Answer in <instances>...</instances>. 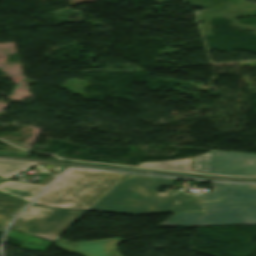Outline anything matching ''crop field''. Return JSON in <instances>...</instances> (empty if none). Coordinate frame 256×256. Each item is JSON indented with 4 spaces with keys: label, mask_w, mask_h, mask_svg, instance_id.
<instances>
[{
    "label": "crop field",
    "mask_w": 256,
    "mask_h": 256,
    "mask_svg": "<svg viewBox=\"0 0 256 256\" xmlns=\"http://www.w3.org/2000/svg\"><path fill=\"white\" fill-rule=\"evenodd\" d=\"M175 180L128 174L90 210L135 215L204 212L201 199L193 194L186 195L176 191L163 194L156 191L160 186H169Z\"/></svg>",
    "instance_id": "8a807250"
},
{
    "label": "crop field",
    "mask_w": 256,
    "mask_h": 256,
    "mask_svg": "<svg viewBox=\"0 0 256 256\" xmlns=\"http://www.w3.org/2000/svg\"><path fill=\"white\" fill-rule=\"evenodd\" d=\"M126 175L72 169L61 175L34 204L89 210Z\"/></svg>",
    "instance_id": "ac0d7876"
},
{
    "label": "crop field",
    "mask_w": 256,
    "mask_h": 256,
    "mask_svg": "<svg viewBox=\"0 0 256 256\" xmlns=\"http://www.w3.org/2000/svg\"><path fill=\"white\" fill-rule=\"evenodd\" d=\"M201 194L207 211L190 226L256 224V185L217 184Z\"/></svg>",
    "instance_id": "34b2d1b8"
},
{
    "label": "crop field",
    "mask_w": 256,
    "mask_h": 256,
    "mask_svg": "<svg viewBox=\"0 0 256 256\" xmlns=\"http://www.w3.org/2000/svg\"><path fill=\"white\" fill-rule=\"evenodd\" d=\"M86 212L49 209L31 204L9 228L54 241L60 238Z\"/></svg>",
    "instance_id": "412701ff"
},
{
    "label": "crop field",
    "mask_w": 256,
    "mask_h": 256,
    "mask_svg": "<svg viewBox=\"0 0 256 256\" xmlns=\"http://www.w3.org/2000/svg\"><path fill=\"white\" fill-rule=\"evenodd\" d=\"M193 172L228 176H256V155L210 151L192 158Z\"/></svg>",
    "instance_id": "f4fd0767"
},
{
    "label": "crop field",
    "mask_w": 256,
    "mask_h": 256,
    "mask_svg": "<svg viewBox=\"0 0 256 256\" xmlns=\"http://www.w3.org/2000/svg\"><path fill=\"white\" fill-rule=\"evenodd\" d=\"M28 204L23 200L0 193V230L4 231L7 224Z\"/></svg>",
    "instance_id": "dd49c442"
},
{
    "label": "crop field",
    "mask_w": 256,
    "mask_h": 256,
    "mask_svg": "<svg viewBox=\"0 0 256 256\" xmlns=\"http://www.w3.org/2000/svg\"><path fill=\"white\" fill-rule=\"evenodd\" d=\"M44 186L35 184H22L20 182H5L0 184V191L25 201H32Z\"/></svg>",
    "instance_id": "e52e79f7"
},
{
    "label": "crop field",
    "mask_w": 256,
    "mask_h": 256,
    "mask_svg": "<svg viewBox=\"0 0 256 256\" xmlns=\"http://www.w3.org/2000/svg\"><path fill=\"white\" fill-rule=\"evenodd\" d=\"M35 164L37 163L0 159V176L8 178L27 170L28 167Z\"/></svg>",
    "instance_id": "d8731c3e"
},
{
    "label": "crop field",
    "mask_w": 256,
    "mask_h": 256,
    "mask_svg": "<svg viewBox=\"0 0 256 256\" xmlns=\"http://www.w3.org/2000/svg\"><path fill=\"white\" fill-rule=\"evenodd\" d=\"M138 166L145 168L190 172V158L176 161L140 163Z\"/></svg>",
    "instance_id": "5a996713"
},
{
    "label": "crop field",
    "mask_w": 256,
    "mask_h": 256,
    "mask_svg": "<svg viewBox=\"0 0 256 256\" xmlns=\"http://www.w3.org/2000/svg\"><path fill=\"white\" fill-rule=\"evenodd\" d=\"M200 213H179L174 214L164 222H162L157 227H170V226H187L197 217H199Z\"/></svg>",
    "instance_id": "3316defc"
},
{
    "label": "crop field",
    "mask_w": 256,
    "mask_h": 256,
    "mask_svg": "<svg viewBox=\"0 0 256 256\" xmlns=\"http://www.w3.org/2000/svg\"><path fill=\"white\" fill-rule=\"evenodd\" d=\"M54 178H55L54 176H50V177H47V178L41 177L38 181L41 182L40 184L47 185V184H48L50 181H52Z\"/></svg>",
    "instance_id": "28ad6ade"
}]
</instances>
